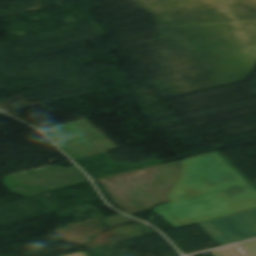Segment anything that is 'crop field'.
<instances>
[{
    "label": "crop field",
    "mask_w": 256,
    "mask_h": 256,
    "mask_svg": "<svg viewBox=\"0 0 256 256\" xmlns=\"http://www.w3.org/2000/svg\"><path fill=\"white\" fill-rule=\"evenodd\" d=\"M166 197L153 211L174 228L256 208V187L216 152L183 160Z\"/></svg>",
    "instance_id": "8a807250"
},
{
    "label": "crop field",
    "mask_w": 256,
    "mask_h": 256,
    "mask_svg": "<svg viewBox=\"0 0 256 256\" xmlns=\"http://www.w3.org/2000/svg\"><path fill=\"white\" fill-rule=\"evenodd\" d=\"M199 225L220 246L256 237V209L201 222Z\"/></svg>",
    "instance_id": "ac0d7876"
},
{
    "label": "crop field",
    "mask_w": 256,
    "mask_h": 256,
    "mask_svg": "<svg viewBox=\"0 0 256 256\" xmlns=\"http://www.w3.org/2000/svg\"><path fill=\"white\" fill-rule=\"evenodd\" d=\"M182 160L144 170V175L166 196L179 179Z\"/></svg>",
    "instance_id": "34b2d1b8"
},
{
    "label": "crop field",
    "mask_w": 256,
    "mask_h": 256,
    "mask_svg": "<svg viewBox=\"0 0 256 256\" xmlns=\"http://www.w3.org/2000/svg\"><path fill=\"white\" fill-rule=\"evenodd\" d=\"M213 256H250L239 244L210 251Z\"/></svg>",
    "instance_id": "412701ff"
},
{
    "label": "crop field",
    "mask_w": 256,
    "mask_h": 256,
    "mask_svg": "<svg viewBox=\"0 0 256 256\" xmlns=\"http://www.w3.org/2000/svg\"><path fill=\"white\" fill-rule=\"evenodd\" d=\"M251 256H256V240L240 244Z\"/></svg>",
    "instance_id": "f4fd0767"
},
{
    "label": "crop field",
    "mask_w": 256,
    "mask_h": 256,
    "mask_svg": "<svg viewBox=\"0 0 256 256\" xmlns=\"http://www.w3.org/2000/svg\"><path fill=\"white\" fill-rule=\"evenodd\" d=\"M69 256H86V255H84L82 252H80V253L72 254V255H69Z\"/></svg>",
    "instance_id": "dd49c442"
}]
</instances>
